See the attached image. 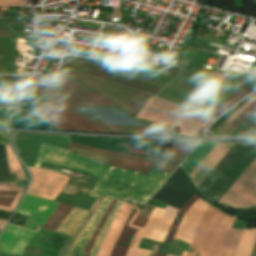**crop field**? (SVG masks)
Listing matches in <instances>:
<instances>
[{"label": "crop field", "instance_id": "obj_39", "mask_svg": "<svg viewBox=\"0 0 256 256\" xmlns=\"http://www.w3.org/2000/svg\"><path fill=\"white\" fill-rule=\"evenodd\" d=\"M153 207L143 205L139 215L137 216L134 225L143 227L144 223L146 222L147 218L149 217Z\"/></svg>", "mask_w": 256, "mask_h": 256}, {"label": "crop field", "instance_id": "obj_51", "mask_svg": "<svg viewBox=\"0 0 256 256\" xmlns=\"http://www.w3.org/2000/svg\"><path fill=\"white\" fill-rule=\"evenodd\" d=\"M25 83H0V86H24Z\"/></svg>", "mask_w": 256, "mask_h": 256}, {"label": "crop field", "instance_id": "obj_14", "mask_svg": "<svg viewBox=\"0 0 256 256\" xmlns=\"http://www.w3.org/2000/svg\"><path fill=\"white\" fill-rule=\"evenodd\" d=\"M208 205V203H205L200 198L196 200L182 217L174 239L190 244ZM186 254L187 252H183L182 256H186Z\"/></svg>", "mask_w": 256, "mask_h": 256}, {"label": "crop field", "instance_id": "obj_24", "mask_svg": "<svg viewBox=\"0 0 256 256\" xmlns=\"http://www.w3.org/2000/svg\"><path fill=\"white\" fill-rule=\"evenodd\" d=\"M254 90H256V77L252 79L250 82H248L236 93H234L227 100H225L223 103H221L218 107L212 110L208 115H211L217 118L224 110L231 107L232 105H234L235 103H237L238 101H240L241 99L249 95Z\"/></svg>", "mask_w": 256, "mask_h": 256}, {"label": "crop field", "instance_id": "obj_20", "mask_svg": "<svg viewBox=\"0 0 256 256\" xmlns=\"http://www.w3.org/2000/svg\"><path fill=\"white\" fill-rule=\"evenodd\" d=\"M12 127L58 130L48 122L34 115H31L19 108L17 109L14 119L12 121Z\"/></svg>", "mask_w": 256, "mask_h": 256}, {"label": "crop field", "instance_id": "obj_42", "mask_svg": "<svg viewBox=\"0 0 256 256\" xmlns=\"http://www.w3.org/2000/svg\"><path fill=\"white\" fill-rule=\"evenodd\" d=\"M238 135L256 136V118H254Z\"/></svg>", "mask_w": 256, "mask_h": 256}, {"label": "crop field", "instance_id": "obj_9", "mask_svg": "<svg viewBox=\"0 0 256 256\" xmlns=\"http://www.w3.org/2000/svg\"><path fill=\"white\" fill-rule=\"evenodd\" d=\"M67 150L76 152L106 165L124 168L144 174H147L159 161V159H147L124 155L75 144H69Z\"/></svg>", "mask_w": 256, "mask_h": 256}, {"label": "crop field", "instance_id": "obj_53", "mask_svg": "<svg viewBox=\"0 0 256 256\" xmlns=\"http://www.w3.org/2000/svg\"><path fill=\"white\" fill-rule=\"evenodd\" d=\"M18 101H13V104H5V101H0V106H16Z\"/></svg>", "mask_w": 256, "mask_h": 256}, {"label": "crop field", "instance_id": "obj_37", "mask_svg": "<svg viewBox=\"0 0 256 256\" xmlns=\"http://www.w3.org/2000/svg\"><path fill=\"white\" fill-rule=\"evenodd\" d=\"M115 203H116V201H115V200H112V202H111L109 208L107 209V211H106L105 215L103 216L101 222L99 223V225H98V227H97L95 233L93 234V236H92V238L90 239V241H89V243H88L86 249L84 250V252H86V255H85V256H88V255H89L88 252H89V250H90L92 244L94 243L95 239L97 238V236H98V234H99V232H100V230H101V228H102V226H103L105 220L107 219V217H108V215H109V213H110V211H111V209H112V207L114 206Z\"/></svg>", "mask_w": 256, "mask_h": 256}, {"label": "crop field", "instance_id": "obj_54", "mask_svg": "<svg viewBox=\"0 0 256 256\" xmlns=\"http://www.w3.org/2000/svg\"><path fill=\"white\" fill-rule=\"evenodd\" d=\"M5 224H6V221L0 220V231Z\"/></svg>", "mask_w": 256, "mask_h": 256}, {"label": "crop field", "instance_id": "obj_57", "mask_svg": "<svg viewBox=\"0 0 256 256\" xmlns=\"http://www.w3.org/2000/svg\"><path fill=\"white\" fill-rule=\"evenodd\" d=\"M0 16H4V12L0 11Z\"/></svg>", "mask_w": 256, "mask_h": 256}, {"label": "crop field", "instance_id": "obj_30", "mask_svg": "<svg viewBox=\"0 0 256 256\" xmlns=\"http://www.w3.org/2000/svg\"><path fill=\"white\" fill-rule=\"evenodd\" d=\"M46 99L47 98L43 97L38 93L29 91L27 92L23 102L21 103L20 108L34 114Z\"/></svg>", "mask_w": 256, "mask_h": 256}, {"label": "crop field", "instance_id": "obj_50", "mask_svg": "<svg viewBox=\"0 0 256 256\" xmlns=\"http://www.w3.org/2000/svg\"><path fill=\"white\" fill-rule=\"evenodd\" d=\"M255 116L256 111L252 113L231 135H237Z\"/></svg>", "mask_w": 256, "mask_h": 256}, {"label": "crop field", "instance_id": "obj_3", "mask_svg": "<svg viewBox=\"0 0 256 256\" xmlns=\"http://www.w3.org/2000/svg\"><path fill=\"white\" fill-rule=\"evenodd\" d=\"M28 88L34 89L46 95L50 99L69 109H71L70 107L73 106H115L111 101L68 79H54L51 77L35 75ZM85 117L103 126L104 128L108 129L113 133L164 135L166 133H171L174 131V128L160 124H152L149 128L108 127L87 116Z\"/></svg>", "mask_w": 256, "mask_h": 256}, {"label": "crop field", "instance_id": "obj_29", "mask_svg": "<svg viewBox=\"0 0 256 256\" xmlns=\"http://www.w3.org/2000/svg\"><path fill=\"white\" fill-rule=\"evenodd\" d=\"M131 143L139 146L140 148L146 150L147 152L162 158L163 154L160 153L166 145V141H155V140H134L126 139Z\"/></svg>", "mask_w": 256, "mask_h": 256}, {"label": "crop field", "instance_id": "obj_48", "mask_svg": "<svg viewBox=\"0 0 256 256\" xmlns=\"http://www.w3.org/2000/svg\"><path fill=\"white\" fill-rule=\"evenodd\" d=\"M177 166L164 162V161H160L158 163V165L156 166V168L162 169L164 171L170 172L172 173V171L176 168Z\"/></svg>", "mask_w": 256, "mask_h": 256}, {"label": "crop field", "instance_id": "obj_27", "mask_svg": "<svg viewBox=\"0 0 256 256\" xmlns=\"http://www.w3.org/2000/svg\"><path fill=\"white\" fill-rule=\"evenodd\" d=\"M214 144L215 143L201 142L200 145L193 151V153L182 164V166L188 172V174L205 156V154L212 148Z\"/></svg>", "mask_w": 256, "mask_h": 256}, {"label": "crop field", "instance_id": "obj_31", "mask_svg": "<svg viewBox=\"0 0 256 256\" xmlns=\"http://www.w3.org/2000/svg\"><path fill=\"white\" fill-rule=\"evenodd\" d=\"M6 147V153H7V159H8V165H9V171L10 173H15V176L17 180L24 179L25 175L22 171V168L15 157L12 149L9 145H5Z\"/></svg>", "mask_w": 256, "mask_h": 256}, {"label": "crop field", "instance_id": "obj_16", "mask_svg": "<svg viewBox=\"0 0 256 256\" xmlns=\"http://www.w3.org/2000/svg\"><path fill=\"white\" fill-rule=\"evenodd\" d=\"M232 145L233 144L216 143L214 147L207 153V155L200 161V163L193 169L189 176L196 187L224 156V154L231 148Z\"/></svg>", "mask_w": 256, "mask_h": 256}, {"label": "crop field", "instance_id": "obj_11", "mask_svg": "<svg viewBox=\"0 0 256 256\" xmlns=\"http://www.w3.org/2000/svg\"><path fill=\"white\" fill-rule=\"evenodd\" d=\"M256 197V159L221 198L235 208H247Z\"/></svg>", "mask_w": 256, "mask_h": 256}, {"label": "crop field", "instance_id": "obj_35", "mask_svg": "<svg viewBox=\"0 0 256 256\" xmlns=\"http://www.w3.org/2000/svg\"><path fill=\"white\" fill-rule=\"evenodd\" d=\"M69 67H71V66H69ZM72 68L82 70V71H85V72H88V73H92V74H95V75H98V76H101V77H105V78H108V79H111V80H115V81H118V82H121V83H125V84L131 85V86H135V87H138V88H141V89H145V90H148V91H151V92L157 93L159 91V89L152 88V87H149V86H146V85H143V84L131 81V80L122 79V78H118V77H113V76H109V75H105V74H101V73H97V72H92V71H88V70H84V69H80V68H76V67H72Z\"/></svg>", "mask_w": 256, "mask_h": 256}, {"label": "crop field", "instance_id": "obj_2", "mask_svg": "<svg viewBox=\"0 0 256 256\" xmlns=\"http://www.w3.org/2000/svg\"><path fill=\"white\" fill-rule=\"evenodd\" d=\"M141 61L130 60L127 66L109 64L84 58L64 56L57 75L62 76L65 65L70 64L99 72L110 73L139 82L153 85L162 89L181 69L171 66H161L160 71L139 67ZM106 96L125 112L134 117L154 94L118 83L105 78L94 76L78 70L66 68L64 75Z\"/></svg>", "mask_w": 256, "mask_h": 256}, {"label": "crop field", "instance_id": "obj_18", "mask_svg": "<svg viewBox=\"0 0 256 256\" xmlns=\"http://www.w3.org/2000/svg\"><path fill=\"white\" fill-rule=\"evenodd\" d=\"M229 75L211 73L182 105L195 110Z\"/></svg>", "mask_w": 256, "mask_h": 256}, {"label": "crop field", "instance_id": "obj_5", "mask_svg": "<svg viewBox=\"0 0 256 256\" xmlns=\"http://www.w3.org/2000/svg\"><path fill=\"white\" fill-rule=\"evenodd\" d=\"M255 158L256 145L234 144L197 188L218 202Z\"/></svg>", "mask_w": 256, "mask_h": 256}, {"label": "crop field", "instance_id": "obj_43", "mask_svg": "<svg viewBox=\"0 0 256 256\" xmlns=\"http://www.w3.org/2000/svg\"><path fill=\"white\" fill-rule=\"evenodd\" d=\"M256 93V92H255ZM253 93V94H255ZM252 94V95H253ZM251 95V96H252ZM251 96H249L248 98H246L245 100H243L241 103H239L238 105H236L235 107H233L232 109H230L220 120H218L213 126L212 128L209 130L210 132H213L232 112H234L240 105H242L247 99H249Z\"/></svg>", "mask_w": 256, "mask_h": 256}, {"label": "crop field", "instance_id": "obj_38", "mask_svg": "<svg viewBox=\"0 0 256 256\" xmlns=\"http://www.w3.org/2000/svg\"><path fill=\"white\" fill-rule=\"evenodd\" d=\"M197 142H182L171 146L170 150L188 155Z\"/></svg>", "mask_w": 256, "mask_h": 256}, {"label": "crop field", "instance_id": "obj_19", "mask_svg": "<svg viewBox=\"0 0 256 256\" xmlns=\"http://www.w3.org/2000/svg\"><path fill=\"white\" fill-rule=\"evenodd\" d=\"M51 202V200L26 195L15 214L28 216L23 226L33 229L35 223Z\"/></svg>", "mask_w": 256, "mask_h": 256}, {"label": "crop field", "instance_id": "obj_26", "mask_svg": "<svg viewBox=\"0 0 256 256\" xmlns=\"http://www.w3.org/2000/svg\"><path fill=\"white\" fill-rule=\"evenodd\" d=\"M256 240V230H243L234 256H250Z\"/></svg>", "mask_w": 256, "mask_h": 256}, {"label": "crop field", "instance_id": "obj_25", "mask_svg": "<svg viewBox=\"0 0 256 256\" xmlns=\"http://www.w3.org/2000/svg\"><path fill=\"white\" fill-rule=\"evenodd\" d=\"M72 208L73 206L59 203V205L56 207L53 213L44 222L42 227L55 231L58 228V226L63 222L64 218L67 216V214L71 211Z\"/></svg>", "mask_w": 256, "mask_h": 256}, {"label": "crop field", "instance_id": "obj_40", "mask_svg": "<svg viewBox=\"0 0 256 256\" xmlns=\"http://www.w3.org/2000/svg\"><path fill=\"white\" fill-rule=\"evenodd\" d=\"M24 87H0V96H21Z\"/></svg>", "mask_w": 256, "mask_h": 256}, {"label": "crop field", "instance_id": "obj_6", "mask_svg": "<svg viewBox=\"0 0 256 256\" xmlns=\"http://www.w3.org/2000/svg\"><path fill=\"white\" fill-rule=\"evenodd\" d=\"M137 118L180 128V135L191 136L199 128L208 125L212 118L196 113L182 106L150 97Z\"/></svg>", "mask_w": 256, "mask_h": 256}, {"label": "crop field", "instance_id": "obj_15", "mask_svg": "<svg viewBox=\"0 0 256 256\" xmlns=\"http://www.w3.org/2000/svg\"><path fill=\"white\" fill-rule=\"evenodd\" d=\"M14 142L20 152H37L40 143L65 149L67 137L14 133Z\"/></svg>", "mask_w": 256, "mask_h": 256}, {"label": "crop field", "instance_id": "obj_22", "mask_svg": "<svg viewBox=\"0 0 256 256\" xmlns=\"http://www.w3.org/2000/svg\"><path fill=\"white\" fill-rule=\"evenodd\" d=\"M236 218L231 219L226 227L225 234L217 256H233L242 230L231 229Z\"/></svg>", "mask_w": 256, "mask_h": 256}, {"label": "crop field", "instance_id": "obj_1", "mask_svg": "<svg viewBox=\"0 0 256 256\" xmlns=\"http://www.w3.org/2000/svg\"><path fill=\"white\" fill-rule=\"evenodd\" d=\"M41 161L53 165H65L69 168L97 177L100 180L95 183L89 196L96 198L98 195H102L105 196V198L102 200L70 250L79 253L84 250L112 199L123 201L124 198H129L145 202L157 191L169 176V174L155 169H152L147 175H142L128 170L106 166L76 153L43 144L40 145L34 167H39ZM100 197L101 196L97 197L92 207ZM120 201H117L91 248L89 256H94L115 211L122 203ZM89 211L75 207L56 232H62L71 236ZM84 254L85 253L78 254L69 252L67 256H84Z\"/></svg>", "mask_w": 256, "mask_h": 256}, {"label": "crop field", "instance_id": "obj_36", "mask_svg": "<svg viewBox=\"0 0 256 256\" xmlns=\"http://www.w3.org/2000/svg\"><path fill=\"white\" fill-rule=\"evenodd\" d=\"M256 99V94L253 95L248 101H246L242 106H240L233 114H231L213 133L214 135H219L243 110H245L254 100Z\"/></svg>", "mask_w": 256, "mask_h": 256}, {"label": "crop field", "instance_id": "obj_21", "mask_svg": "<svg viewBox=\"0 0 256 256\" xmlns=\"http://www.w3.org/2000/svg\"><path fill=\"white\" fill-rule=\"evenodd\" d=\"M15 185L16 183H0V209L13 212L24 191Z\"/></svg>", "mask_w": 256, "mask_h": 256}, {"label": "crop field", "instance_id": "obj_17", "mask_svg": "<svg viewBox=\"0 0 256 256\" xmlns=\"http://www.w3.org/2000/svg\"><path fill=\"white\" fill-rule=\"evenodd\" d=\"M33 232L8 225L0 239V251L21 255Z\"/></svg>", "mask_w": 256, "mask_h": 256}, {"label": "crop field", "instance_id": "obj_44", "mask_svg": "<svg viewBox=\"0 0 256 256\" xmlns=\"http://www.w3.org/2000/svg\"><path fill=\"white\" fill-rule=\"evenodd\" d=\"M14 107H0V116L7 115L12 112ZM9 116L0 117V126H6Z\"/></svg>", "mask_w": 256, "mask_h": 256}, {"label": "crop field", "instance_id": "obj_33", "mask_svg": "<svg viewBox=\"0 0 256 256\" xmlns=\"http://www.w3.org/2000/svg\"><path fill=\"white\" fill-rule=\"evenodd\" d=\"M198 197H197V195L195 194L182 208H181V210H180V212L178 213V215H177V217H176V219H175V221H174V223H173V225H172V227H171V229H170V231H169V233H168V235H167V237H166V239H165V243H171V241H172V239H173V236H174V234H175V231H176V228H177V226H178V224H179V220L181 219H179V220H177V218H178V216H181L182 217V215L184 214V212L187 210V208L191 205V203L195 200V199H197ZM160 246H161V243L159 244V246H158V249H157V252H156V255L155 256H166L165 254H161V253H158V251H159V248H160Z\"/></svg>", "mask_w": 256, "mask_h": 256}, {"label": "crop field", "instance_id": "obj_13", "mask_svg": "<svg viewBox=\"0 0 256 256\" xmlns=\"http://www.w3.org/2000/svg\"><path fill=\"white\" fill-rule=\"evenodd\" d=\"M93 185V182L70 177L67 185L62 190L60 195L55 199V201L88 210L95 201L94 198L87 197Z\"/></svg>", "mask_w": 256, "mask_h": 256}, {"label": "crop field", "instance_id": "obj_8", "mask_svg": "<svg viewBox=\"0 0 256 256\" xmlns=\"http://www.w3.org/2000/svg\"><path fill=\"white\" fill-rule=\"evenodd\" d=\"M230 217L209 205L191 243L192 255L216 256L225 227Z\"/></svg>", "mask_w": 256, "mask_h": 256}, {"label": "crop field", "instance_id": "obj_32", "mask_svg": "<svg viewBox=\"0 0 256 256\" xmlns=\"http://www.w3.org/2000/svg\"><path fill=\"white\" fill-rule=\"evenodd\" d=\"M255 110L256 100L245 111H243L220 135H230Z\"/></svg>", "mask_w": 256, "mask_h": 256}, {"label": "crop field", "instance_id": "obj_4", "mask_svg": "<svg viewBox=\"0 0 256 256\" xmlns=\"http://www.w3.org/2000/svg\"><path fill=\"white\" fill-rule=\"evenodd\" d=\"M189 179L178 168L173 175L164 183L152 199L168 206L180 209L182 205L194 195V191L187 186ZM166 206L164 210L154 208L148 221L141 230L132 251L131 256H149V250L137 248L142 237L154 241L163 242L178 209Z\"/></svg>", "mask_w": 256, "mask_h": 256}, {"label": "crop field", "instance_id": "obj_45", "mask_svg": "<svg viewBox=\"0 0 256 256\" xmlns=\"http://www.w3.org/2000/svg\"><path fill=\"white\" fill-rule=\"evenodd\" d=\"M211 72H206L203 77L188 91L186 92L181 99L177 102V104L181 105L186 98L196 89V87L210 74Z\"/></svg>", "mask_w": 256, "mask_h": 256}, {"label": "crop field", "instance_id": "obj_41", "mask_svg": "<svg viewBox=\"0 0 256 256\" xmlns=\"http://www.w3.org/2000/svg\"><path fill=\"white\" fill-rule=\"evenodd\" d=\"M185 157H186V155H182V154L175 153V152L168 150L167 154L163 157V159H165L169 162L179 164Z\"/></svg>", "mask_w": 256, "mask_h": 256}, {"label": "crop field", "instance_id": "obj_10", "mask_svg": "<svg viewBox=\"0 0 256 256\" xmlns=\"http://www.w3.org/2000/svg\"><path fill=\"white\" fill-rule=\"evenodd\" d=\"M35 115L50 121L62 130L108 133L102 128L49 99L42 105Z\"/></svg>", "mask_w": 256, "mask_h": 256}, {"label": "crop field", "instance_id": "obj_28", "mask_svg": "<svg viewBox=\"0 0 256 256\" xmlns=\"http://www.w3.org/2000/svg\"><path fill=\"white\" fill-rule=\"evenodd\" d=\"M10 36L21 37V18H2ZM0 19V37H10L8 31Z\"/></svg>", "mask_w": 256, "mask_h": 256}, {"label": "crop field", "instance_id": "obj_23", "mask_svg": "<svg viewBox=\"0 0 256 256\" xmlns=\"http://www.w3.org/2000/svg\"><path fill=\"white\" fill-rule=\"evenodd\" d=\"M71 142H76L88 146L104 148L109 150L121 151L123 152L127 143L122 139H98V138H78L69 137Z\"/></svg>", "mask_w": 256, "mask_h": 256}, {"label": "crop field", "instance_id": "obj_46", "mask_svg": "<svg viewBox=\"0 0 256 256\" xmlns=\"http://www.w3.org/2000/svg\"><path fill=\"white\" fill-rule=\"evenodd\" d=\"M28 77L0 76V82H26Z\"/></svg>", "mask_w": 256, "mask_h": 256}, {"label": "crop field", "instance_id": "obj_56", "mask_svg": "<svg viewBox=\"0 0 256 256\" xmlns=\"http://www.w3.org/2000/svg\"><path fill=\"white\" fill-rule=\"evenodd\" d=\"M252 205L256 206V199L250 204L248 208H251Z\"/></svg>", "mask_w": 256, "mask_h": 256}, {"label": "crop field", "instance_id": "obj_7", "mask_svg": "<svg viewBox=\"0 0 256 256\" xmlns=\"http://www.w3.org/2000/svg\"><path fill=\"white\" fill-rule=\"evenodd\" d=\"M139 210L126 202L123 203L98 250L97 256H130L133 244L141 230L140 227L132 225Z\"/></svg>", "mask_w": 256, "mask_h": 256}, {"label": "crop field", "instance_id": "obj_52", "mask_svg": "<svg viewBox=\"0 0 256 256\" xmlns=\"http://www.w3.org/2000/svg\"><path fill=\"white\" fill-rule=\"evenodd\" d=\"M7 143V137L5 134L0 133V144Z\"/></svg>", "mask_w": 256, "mask_h": 256}, {"label": "crop field", "instance_id": "obj_34", "mask_svg": "<svg viewBox=\"0 0 256 256\" xmlns=\"http://www.w3.org/2000/svg\"><path fill=\"white\" fill-rule=\"evenodd\" d=\"M102 199H103V197H101V199L98 201V203L93 207V209L90 211L87 218L83 221V223L78 227V229L74 232V234L72 235L70 240L67 242L64 249H62V248L60 249L58 256H66L67 255L72 244L74 243V241L76 240V238L78 237V235L80 234V232L82 231V229L84 228V226L86 225V223L88 222V220L90 219V217L92 216V214L94 213V211L96 210L97 206L99 205V203L101 202Z\"/></svg>", "mask_w": 256, "mask_h": 256}, {"label": "crop field", "instance_id": "obj_55", "mask_svg": "<svg viewBox=\"0 0 256 256\" xmlns=\"http://www.w3.org/2000/svg\"><path fill=\"white\" fill-rule=\"evenodd\" d=\"M251 256H256V243H255V246H254V249H253V252H252Z\"/></svg>", "mask_w": 256, "mask_h": 256}, {"label": "crop field", "instance_id": "obj_12", "mask_svg": "<svg viewBox=\"0 0 256 256\" xmlns=\"http://www.w3.org/2000/svg\"><path fill=\"white\" fill-rule=\"evenodd\" d=\"M32 183L26 194L54 200L69 179L68 176L44 169L29 168Z\"/></svg>", "mask_w": 256, "mask_h": 256}, {"label": "crop field", "instance_id": "obj_49", "mask_svg": "<svg viewBox=\"0 0 256 256\" xmlns=\"http://www.w3.org/2000/svg\"><path fill=\"white\" fill-rule=\"evenodd\" d=\"M58 202L53 201L49 209L45 212V214L40 218L38 221V224L42 225L43 222L48 218V216L51 214V212L54 210V208L57 206Z\"/></svg>", "mask_w": 256, "mask_h": 256}, {"label": "crop field", "instance_id": "obj_47", "mask_svg": "<svg viewBox=\"0 0 256 256\" xmlns=\"http://www.w3.org/2000/svg\"><path fill=\"white\" fill-rule=\"evenodd\" d=\"M25 0H0V6H23Z\"/></svg>", "mask_w": 256, "mask_h": 256}]
</instances>
